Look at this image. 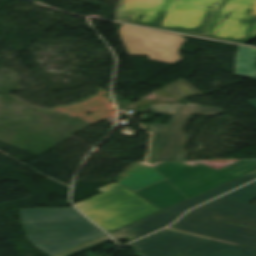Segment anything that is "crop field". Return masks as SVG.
I'll return each mask as SVG.
<instances>
[{
  "label": "crop field",
  "mask_w": 256,
  "mask_h": 256,
  "mask_svg": "<svg viewBox=\"0 0 256 256\" xmlns=\"http://www.w3.org/2000/svg\"><path fill=\"white\" fill-rule=\"evenodd\" d=\"M255 179H256V172L246 175L244 177H241L239 179H236L232 182L224 184L220 187L212 189L196 197H193L191 198V200L184 202L182 204H179L175 207H172L170 209H167L165 211L152 215L148 218H145L143 220H140L138 222L125 226L121 229L113 231L111 232V234L116 239L127 238L131 241H134L140 237H143L147 234H150L156 230H159L167 226L168 224L173 222L176 218H178L182 213H184L187 209L195 205H198L204 201H207L211 198H214L220 194H223L227 191H230L236 187H239L243 184H246Z\"/></svg>",
  "instance_id": "crop-field-7"
},
{
  "label": "crop field",
  "mask_w": 256,
  "mask_h": 256,
  "mask_svg": "<svg viewBox=\"0 0 256 256\" xmlns=\"http://www.w3.org/2000/svg\"><path fill=\"white\" fill-rule=\"evenodd\" d=\"M256 206L218 198L189 213L170 228L256 248Z\"/></svg>",
  "instance_id": "crop-field-3"
},
{
  "label": "crop field",
  "mask_w": 256,
  "mask_h": 256,
  "mask_svg": "<svg viewBox=\"0 0 256 256\" xmlns=\"http://www.w3.org/2000/svg\"><path fill=\"white\" fill-rule=\"evenodd\" d=\"M187 256H256V249L213 240L184 251Z\"/></svg>",
  "instance_id": "crop-field-11"
},
{
  "label": "crop field",
  "mask_w": 256,
  "mask_h": 256,
  "mask_svg": "<svg viewBox=\"0 0 256 256\" xmlns=\"http://www.w3.org/2000/svg\"><path fill=\"white\" fill-rule=\"evenodd\" d=\"M154 168L167 180L136 193L164 209L256 171V159L242 160L219 170L184 162L162 163Z\"/></svg>",
  "instance_id": "crop-field-2"
},
{
  "label": "crop field",
  "mask_w": 256,
  "mask_h": 256,
  "mask_svg": "<svg viewBox=\"0 0 256 256\" xmlns=\"http://www.w3.org/2000/svg\"><path fill=\"white\" fill-rule=\"evenodd\" d=\"M248 103L256 108V100L248 101Z\"/></svg>",
  "instance_id": "crop-field-17"
},
{
  "label": "crop field",
  "mask_w": 256,
  "mask_h": 256,
  "mask_svg": "<svg viewBox=\"0 0 256 256\" xmlns=\"http://www.w3.org/2000/svg\"><path fill=\"white\" fill-rule=\"evenodd\" d=\"M130 56L174 64L182 60L179 50L186 38L144 28L121 25L118 31Z\"/></svg>",
  "instance_id": "crop-field-6"
},
{
  "label": "crop field",
  "mask_w": 256,
  "mask_h": 256,
  "mask_svg": "<svg viewBox=\"0 0 256 256\" xmlns=\"http://www.w3.org/2000/svg\"><path fill=\"white\" fill-rule=\"evenodd\" d=\"M163 89L177 99L201 93L182 78Z\"/></svg>",
  "instance_id": "crop-field-14"
},
{
  "label": "crop field",
  "mask_w": 256,
  "mask_h": 256,
  "mask_svg": "<svg viewBox=\"0 0 256 256\" xmlns=\"http://www.w3.org/2000/svg\"><path fill=\"white\" fill-rule=\"evenodd\" d=\"M124 0V23L245 44L256 38V0Z\"/></svg>",
  "instance_id": "crop-field-1"
},
{
  "label": "crop field",
  "mask_w": 256,
  "mask_h": 256,
  "mask_svg": "<svg viewBox=\"0 0 256 256\" xmlns=\"http://www.w3.org/2000/svg\"><path fill=\"white\" fill-rule=\"evenodd\" d=\"M210 240L164 229L128 246L135 250L137 256H186L182 250Z\"/></svg>",
  "instance_id": "crop-field-8"
},
{
  "label": "crop field",
  "mask_w": 256,
  "mask_h": 256,
  "mask_svg": "<svg viewBox=\"0 0 256 256\" xmlns=\"http://www.w3.org/2000/svg\"><path fill=\"white\" fill-rule=\"evenodd\" d=\"M222 198L249 203L256 199V182L248 184L236 191H233Z\"/></svg>",
  "instance_id": "crop-field-15"
},
{
  "label": "crop field",
  "mask_w": 256,
  "mask_h": 256,
  "mask_svg": "<svg viewBox=\"0 0 256 256\" xmlns=\"http://www.w3.org/2000/svg\"><path fill=\"white\" fill-rule=\"evenodd\" d=\"M108 240H112V239L109 238L107 235H105V236H103V237H100V238H98V239H96V240H93V241H91V242H88V243H86V244H84V245H81V246H79V247H76V248H74V249H72V250H69V251L64 252V253H62V254H60V255H57V256H69V255H71V254H74V253H76V252H79V251H81V250H84V249H86V248L92 247V246H94V245H97V244H99V243H101V242L108 241Z\"/></svg>",
  "instance_id": "crop-field-16"
},
{
  "label": "crop field",
  "mask_w": 256,
  "mask_h": 256,
  "mask_svg": "<svg viewBox=\"0 0 256 256\" xmlns=\"http://www.w3.org/2000/svg\"><path fill=\"white\" fill-rule=\"evenodd\" d=\"M101 234L99 230L27 232L29 240L49 256Z\"/></svg>",
  "instance_id": "crop-field-10"
},
{
  "label": "crop field",
  "mask_w": 256,
  "mask_h": 256,
  "mask_svg": "<svg viewBox=\"0 0 256 256\" xmlns=\"http://www.w3.org/2000/svg\"><path fill=\"white\" fill-rule=\"evenodd\" d=\"M163 180L165 178L151 167L119 182L136 192Z\"/></svg>",
  "instance_id": "crop-field-13"
},
{
  "label": "crop field",
  "mask_w": 256,
  "mask_h": 256,
  "mask_svg": "<svg viewBox=\"0 0 256 256\" xmlns=\"http://www.w3.org/2000/svg\"><path fill=\"white\" fill-rule=\"evenodd\" d=\"M99 191L75 205L108 232L161 210L119 182Z\"/></svg>",
  "instance_id": "crop-field-4"
},
{
  "label": "crop field",
  "mask_w": 256,
  "mask_h": 256,
  "mask_svg": "<svg viewBox=\"0 0 256 256\" xmlns=\"http://www.w3.org/2000/svg\"><path fill=\"white\" fill-rule=\"evenodd\" d=\"M236 76L256 78V49L239 46L236 54Z\"/></svg>",
  "instance_id": "crop-field-12"
},
{
  "label": "crop field",
  "mask_w": 256,
  "mask_h": 256,
  "mask_svg": "<svg viewBox=\"0 0 256 256\" xmlns=\"http://www.w3.org/2000/svg\"><path fill=\"white\" fill-rule=\"evenodd\" d=\"M153 114L174 113L169 124H149L154 132L148 161L186 160L185 152L190 135L183 134L192 114L217 116L222 109L200 107L195 104L152 105Z\"/></svg>",
  "instance_id": "crop-field-5"
},
{
  "label": "crop field",
  "mask_w": 256,
  "mask_h": 256,
  "mask_svg": "<svg viewBox=\"0 0 256 256\" xmlns=\"http://www.w3.org/2000/svg\"><path fill=\"white\" fill-rule=\"evenodd\" d=\"M18 210L26 230L97 228L74 208Z\"/></svg>",
  "instance_id": "crop-field-9"
}]
</instances>
